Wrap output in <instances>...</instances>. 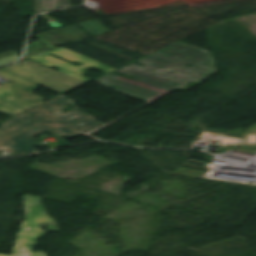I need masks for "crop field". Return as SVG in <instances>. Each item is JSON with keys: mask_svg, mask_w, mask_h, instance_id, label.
<instances>
[{"mask_svg": "<svg viewBox=\"0 0 256 256\" xmlns=\"http://www.w3.org/2000/svg\"><path fill=\"white\" fill-rule=\"evenodd\" d=\"M206 53H208L210 55H206ZM201 59L210 61L212 63L203 61ZM137 62L147 64V65H149V67L145 66L146 68H144L141 66L130 64L128 66L140 69L142 71L127 68V67H124L122 69L129 70V71H131L130 73L123 71L121 69H118L116 71H119L124 74L135 77L133 80L144 82V83L153 85L155 87L164 89L166 91L160 90L157 88H153L150 86H146V85L137 83L135 81L120 77V76L112 74V73H110L94 82H97V83L102 84L103 86L115 89V90H117L118 93L151 103L178 87H181L183 89L190 87V86L185 85L186 83H188L190 81L200 84L201 82H203L205 79H207L209 76H211L213 73L216 72V70H215V72H212L211 68L200 64V63H203V64L210 65L213 68H215L213 57H212L211 53H209L203 49L192 47L190 45H187V44H184L181 42H178L170 47H167V48H165L159 52H156L148 57H145ZM152 62L175 69V70H178V71H181V72H184V73H187V74H190V75H193L195 77L172 70V69H169V68H166V67H163V66H160V65H157V64H154ZM186 63L192 64L194 66L192 68L187 67V66H185ZM199 68L209 70L211 72L201 70ZM168 71H170L172 73L176 72L175 74L180 75L182 77L167 73ZM200 73L205 74L207 76L204 77ZM110 77L137 85L139 87L112 79ZM102 79H105V80H108V81H111L114 83H118V84L130 87V88L142 91V92H146V93L155 95L157 97H154V96H151V95H148L145 93H141V92L117 85V84H113V83L104 81ZM119 89H122V90H125L128 92H132V93L138 94L140 96L131 94V93H128L125 91H121ZM149 90L156 91L159 93L156 94Z\"/></svg>", "mask_w": 256, "mask_h": 256, "instance_id": "crop-field-1", "label": "crop field"}, {"mask_svg": "<svg viewBox=\"0 0 256 256\" xmlns=\"http://www.w3.org/2000/svg\"><path fill=\"white\" fill-rule=\"evenodd\" d=\"M69 100L70 99L66 97L60 99L56 98L29 110L30 112L42 117L43 119L31 113L25 112L3 123L0 129V141L20 133L28 128H31L37 124L40 126L23 132L4 142H1L0 148L4 149L8 147L17 155L29 154L36 151V149H34V141L36 139L32 137L45 130H48L46 127L41 125L42 123L55 132L68 126L82 134H85L103 125L90 118L89 115L78 108L61 115L60 112L63 111L61 109L71 105V103L68 102ZM57 134L64 137L65 139L72 138L73 136H81L79 133H76L69 128L62 130Z\"/></svg>", "mask_w": 256, "mask_h": 256, "instance_id": "crop-field-2", "label": "crop field"}, {"mask_svg": "<svg viewBox=\"0 0 256 256\" xmlns=\"http://www.w3.org/2000/svg\"><path fill=\"white\" fill-rule=\"evenodd\" d=\"M0 77L11 81L0 88V112L9 116L44 102L45 98L32 94L38 85L63 94L85 83L28 59L0 69Z\"/></svg>", "mask_w": 256, "mask_h": 256, "instance_id": "crop-field-3", "label": "crop field"}, {"mask_svg": "<svg viewBox=\"0 0 256 256\" xmlns=\"http://www.w3.org/2000/svg\"><path fill=\"white\" fill-rule=\"evenodd\" d=\"M26 207L25 221L19 230L12 256H19L22 247H29L25 256H47L40 251L32 253L33 246L37 245V239L48 231H59L54 220L47 216L40 197L24 196ZM41 224H48V231H42ZM7 256V255H0Z\"/></svg>", "mask_w": 256, "mask_h": 256, "instance_id": "crop-field-4", "label": "crop field"}, {"mask_svg": "<svg viewBox=\"0 0 256 256\" xmlns=\"http://www.w3.org/2000/svg\"><path fill=\"white\" fill-rule=\"evenodd\" d=\"M51 53L61 56V57H64V58H67L71 61H78V62L84 63L86 65L80 66V67H75L73 65H70L68 63H65L59 59H56V58L48 55ZM29 59H31L35 62L41 63L43 65H46L48 67H56V68L60 69L59 72L73 76V77L83 80L85 82L91 81L90 79H88L82 75L83 71L86 68H88L89 66L96 68L104 73H109V72L115 70L113 68H110L101 63H98L96 61H93L91 59L83 57L81 55H78V54L71 52L69 50H66L64 48H59V49H56V50H53V51H50V52H47L44 54L36 55Z\"/></svg>", "mask_w": 256, "mask_h": 256, "instance_id": "crop-field-5", "label": "crop field"}, {"mask_svg": "<svg viewBox=\"0 0 256 256\" xmlns=\"http://www.w3.org/2000/svg\"><path fill=\"white\" fill-rule=\"evenodd\" d=\"M72 6V0H61V8ZM35 13L59 8V0H34Z\"/></svg>", "mask_w": 256, "mask_h": 256, "instance_id": "crop-field-6", "label": "crop field"}, {"mask_svg": "<svg viewBox=\"0 0 256 256\" xmlns=\"http://www.w3.org/2000/svg\"><path fill=\"white\" fill-rule=\"evenodd\" d=\"M248 135H256V125L243 132L240 142H247Z\"/></svg>", "mask_w": 256, "mask_h": 256, "instance_id": "crop-field-7", "label": "crop field"}]
</instances>
